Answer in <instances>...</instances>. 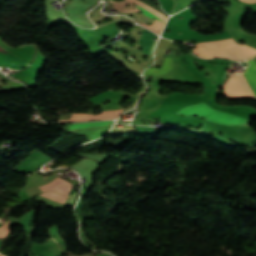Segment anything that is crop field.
I'll return each instance as SVG.
<instances>
[{
  "label": "crop field",
  "instance_id": "8a807250",
  "mask_svg": "<svg viewBox=\"0 0 256 256\" xmlns=\"http://www.w3.org/2000/svg\"><path fill=\"white\" fill-rule=\"evenodd\" d=\"M248 63L249 67L243 74L256 97V64L254 59L248 61ZM243 74L230 75L227 82L223 85V89L227 98H255Z\"/></svg>",
  "mask_w": 256,
  "mask_h": 256
},
{
  "label": "crop field",
  "instance_id": "ac0d7876",
  "mask_svg": "<svg viewBox=\"0 0 256 256\" xmlns=\"http://www.w3.org/2000/svg\"><path fill=\"white\" fill-rule=\"evenodd\" d=\"M177 114L185 115V116L196 115L208 121L227 124V125L249 123V120L247 119H244L242 117H239L233 114L214 110L203 102L195 105L187 106L181 109L180 111H178Z\"/></svg>",
  "mask_w": 256,
  "mask_h": 256
},
{
  "label": "crop field",
  "instance_id": "34b2d1b8",
  "mask_svg": "<svg viewBox=\"0 0 256 256\" xmlns=\"http://www.w3.org/2000/svg\"><path fill=\"white\" fill-rule=\"evenodd\" d=\"M152 37H156L157 35H155L154 33L144 29L142 31V35L140 37V45L145 49L142 52H144L147 55H151L153 53V49L155 47V44L157 41L152 40ZM142 52L136 50L134 52V54L132 56H135V58L137 60H133L132 63H129L128 61H126L123 57L124 55H122L120 52H114L112 54H110L113 58H115L118 62L122 63L123 65L139 72L142 73V69L145 68L146 66L150 65L152 62V57H148L147 61H143L142 56L144 55ZM136 61H140L141 63L137 64Z\"/></svg>",
  "mask_w": 256,
  "mask_h": 256
},
{
  "label": "crop field",
  "instance_id": "412701ff",
  "mask_svg": "<svg viewBox=\"0 0 256 256\" xmlns=\"http://www.w3.org/2000/svg\"><path fill=\"white\" fill-rule=\"evenodd\" d=\"M122 111L123 110L106 111V112H101L98 115L74 114L70 120L58 121V122H71V121H82V120H92V119H116Z\"/></svg>",
  "mask_w": 256,
  "mask_h": 256
},
{
  "label": "crop field",
  "instance_id": "f4fd0767",
  "mask_svg": "<svg viewBox=\"0 0 256 256\" xmlns=\"http://www.w3.org/2000/svg\"><path fill=\"white\" fill-rule=\"evenodd\" d=\"M71 186H72L71 183L57 177L53 182L40 186V189L42 190V192L46 190H52V191L62 193L64 195H68L71 189Z\"/></svg>",
  "mask_w": 256,
  "mask_h": 256
},
{
  "label": "crop field",
  "instance_id": "dd49c442",
  "mask_svg": "<svg viewBox=\"0 0 256 256\" xmlns=\"http://www.w3.org/2000/svg\"><path fill=\"white\" fill-rule=\"evenodd\" d=\"M120 99V91L112 90H108L102 94L89 98V100H91L96 105L103 104L107 100H110L109 104H111L120 101Z\"/></svg>",
  "mask_w": 256,
  "mask_h": 256
},
{
  "label": "crop field",
  "instance_id": "e52e79f7",
  "mask_svg": "<svg viewBox=\"0 0 256 256\" xmlns=\"http://www.w3.org/2000/svg\"><path fill=\"white\" fill-rule=\"evenodd\" d=\"M171 67H172L171 57H164V62L160 69L149 68L144 72V74H149L151 76L164 74V73H167Z\"/></svg>",
  "mask_w": 256,
  "mask_h": 256
},
{
  "label": "crop field",
  "instance_id": "d8731c3e",
  "mask_svg": "<svg viewBox=\"0 0 256 256\" xmlns=\"http://www.w3.org/2000/svg\"><path fill=\"white\" fill-rule=\"evenodd\" d=\"M137 7H138V6H137ZM138 8H140V9L143 11V14H145V15L151 17L152 19H153V17H155L154 15H152L151 13H149L147 10H145V9H143V8H141V7H138ZM164 23H165V22L161 21L160 19H158V18L156 17V19H155V21H154V23H153L152 26H147V25H145V24H141V25L145 26L146 28L150 29L151 31H153V32H155V33H157V34H160V32H161V30H162V28H163V26H164Z\"/></svg>",
  "mask_w": 256,
  "mask_h": 256
},
{
  "label": "crop field",
  "instance_id": "5a996713",
  "mask_svg": "<svg viewBox=\"0 0 256 256\" xmlns=\"http://www.w3.org/2000/svg\"><path fill=\"white\" fill-rule=\"evenodd\" d=\"M113 122L114 121H98V122H88V123H80V124H70L69 129L92 127V126H104V125L113 124Z\"/></svg>",
  "mask_w": 256,
  "mask_h": 256
},
{
  "label": "crop field",
  "instance_id": "3316defc",
  "mask_svg": "<svg viewBox=\"0 0 256 256\" xmlns=\"http://www.w3.org/2000/svg\"><path fill=\"white\" fill-rule=\"evenodd\" d=\"M40 196L45 197L47 199H50L52 201H55L57 203H60L62 205L64 204V202L67 198L66 196L59 195V194H57L55 192H52V191H47L43 194H40Z\"/></svg>",
  "mask_w": 256,
  "mask_h": 256
},
{
  "label": "crop field",
  "instance_id": "28ad6ade",
  "mask_svg": "<svg viewBox=\"0 0 256 256\" xmlns=\"http://www.w3.org/2000/svg\"><path fill=\"white\" fill-rule=\"evenodd\" d=\"M198 1L200 0H174L175 4L172 13Z\"/></svg>",
  "mask_w": 256,
  "mask_h": 256
},
{
  "label": "crop field",
  "instance_id": "d1516ede",
  "mask_svg": "<svg viewBox=\"0 0 256 256\" xmlns=\"http://www.w3.org/2000/svg\"><path fill=\"white\" fill-rule=\"evenodd\" d=\"M4 220V219H3ZM3 220L0 222V223H2L3 222Z\"/></svg>",
  "mask_w": 256,
  "mask_h": 256
},
{
  "label": "crop field",
  "instance_id": "22f410ed",
  "mask_svg": "<svg viewBox=\"0 0 256 256\" xmlns=\"http://www.w3.org/2000/svg\"><path fill=\"white\" fill-rule=\"evenodd\" d=\"M245 60H247V59H245Z\"/></svg>",
  "mask_w": 256,
  "mask_h": 256
}]
</instances>
